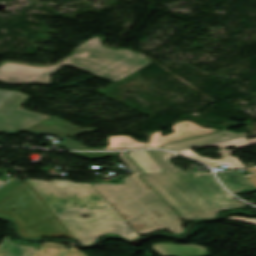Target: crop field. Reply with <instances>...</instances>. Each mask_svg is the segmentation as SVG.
<instances>
[{"instance_id": "8a807250", "label": "crop field", "mask_w": 256, "mask_h": 256, "mask_svg": "<svg viewBox=\"0 0 256 256\" xmlns=\"http://www.w3.org/2000/svg\"><path fill=\"white\" fill-rule=\"evenodd\" d=\"M6 195L0 213L12 216L22 237L66 236L82 246L107 233H119L128 241L139 237L90 184L28 179Z\"/></svg>"}, {"instance_id": "ac0d7876", "label": "crop field", "mask_w": 256, "mask_h": 256, "mask_svg": "<svg viewBox=\"0 0 256 256\" xmlns=\"http://www.w3.org/2000/svg\"><path fill=\"white\" fill-rule=\"evenodd\" d=\"M165 172L141 178L183 219L213 218L219 210L246 206L218 184L212 173L184 172L173 166L167 151H147Z\"/></svg>"}, {"instance_id": "34b2d1b8", "label": "crop field", "mask_w": 256, "mask_h": 256, "mask_svg": "<svg viewBox=\"0 0 256 256\" xmlns=\"http://www.w3.org/2000/svg\"><path fill=\"white\" fill-rule=\"evenodd\" d=\"M121 157L136 173L124 178L125 184L92 186L139 234L167 228L181 235V219L137 176L143 172L124 154Z\"/></svg>"}, {"instance_id": "412701ff", "label": "crop field", "mask_w": 256, "mask_h": 256, "mask_svg": "<svg viewBox=\"0 0 256 256\" xmlns=\"http://www.w3.org/2000/svg\"><path fill=\"white\" fill-rule=\"evenodd\" d=\"M92 39V38H91ZM150 63L129 50H110L98 37L84 43L77 53L57 66L44 68L5 62L0 66V81L5 83H50L48 76L64 64L81 67L114 82Z\"/></svg>"}, {"instance_id": "f4fd0767", "label": "crop field", "mask_w": 256, "mask_h": 256, "mask_svg": "<svg viewBox=\"0 0 256 256\" xmlns=\"http://www.w3.org/2000/svg\"><path fill=\"white\" fill-rule=\"evenodd\" d=\"M29 99L18 92L0 107V133L24 131L50 117L21 109L20 106Z\"/></svg>"}, {"instance_id": "dd49c442", "label": "crop field", "mask_w": 256, "mask_h": 256, "mask_svg": "<svg viewBox=\"0 0 256 256\" xmlns=\"http://www.w3.org/2000/svg\"><path fill=\"white\" fill-rule=\"evenodd\" d=\"M43 246L45 250L41 252ZM64 245L43 243L40 251L35 248L20 246L12 243L5 237L0 243V256H85L83 252L76 248H70L69 251L64 250Z\"/></svg>"}, {"instance_id": "e52e79f7", "label": "crop field", "mask_w": 256, "mask_h": 256, "mask_svg": "<svg viewBox=\"0 0 256 256\" xmlns=\"http://www.w3.org/2000/svg\"><path fill=\"white\" fill-rule=\"evenodd\" d=\"M172 130L174 132L166 136H161L162 131L154 132L149 143H147L148 147L161 148V146L166 143L190 139L219 131L216 129L200 127L191 121L177 123L172 126Z\"/></svg>"}, {"instance_id": "d8731c3e", "label": "crop field", "mask_w": 256, "mask_h": 256, "mask_svg": "<svg viewBox=\"0 0 256 256\" xmlns=\"http://www.w3.org/2000/svg\"><path fill=\"white\" fill-rule=\"evenodd\" d=\"M95 128H80L53 116L25 132L31 134H52L59 137L77 136L82 132H93Z\"/></svg>"}, {"instance_id": "5a996713", "label": "crop field", "mask_w": 256, "mask_h": 256, "mask_svg": "<svg viewBox=\"0 0 256 256\" xmlns=\"http://www.w3.org/2000/svg\"><path fill=\"white\" fill-rule=\"evenodd\" d=\"M231 145H234L236 147H241V146L250 145V143L246 140V138H243V139H239V140H235V141H229V142H224V143H220V144L206 146V147L218 146L220 149H222L221 151H218V153L223 156V159H217V160H212L210 158H203V157L199 156L198 154H196L195 152H193L191 149L179 151L178 153L185 154L191 158H194L200 162L207 164L210 167L221 165V164H226L227 167H229V169L244 168L245 166L243 164H241L237 158L229 156L232 152H234V150H229V149L223 150V148L231 146Z\"/></svg>"}, {"instance_id": "3316defc", "label": "crop field", "mask_w": 256, "mask_h": 256, "mask_svg": "<svg viewBox=\"0 0 256 256\" xmlns=\"http://www.w3.org/2000/svg\"><path fill=\"white\" fill-rule=\"evenodd\" d=\"M243 136H247V134L231 133V132L223 131V132H218V133H214V134H210V135H206V136H202V137H198L190 140L166 144V145H163L162 148H165L171 151H176V150L206 145L210 143L220 142V141L234 139V138L243 137Z\"/></svg>"}, {"instance_id": "28ad6ade", "label": "crop field", "mask_w": 256, "mask_h": 256, "mask_svg": "<svg viewBox=\"0 0 256 256\" xmlns=\"http://www.w3.org/2000/svg\"><path fill=\"white\" fill-rule=\"evenodd\" d=\"M153 247L162 255V256H208L209 252L199 246L186 245V246H177L171 244H157Z\"/></svg>"}, {"instance_id": "d1516ede", "label": "crop field", "mask_w": 256, "mask_h": 256, "mask_svg": "<svg viewBox=\"0 0 256 256\" xmlns=\"http://www.w3.org/2000/svg\"><path fill=\"white\" fill-rule=\"evenodd\" d=\"M217 176L224 185L234 194L240 193L243 188L255 189L256 187L239 171L218 173Z\"/></svg>"}, {"instance_id": "22f410ed", "label": "crop field", "mask_w": 256, "mask_h": 256, "mask_svg": "<svg viewBox=\"0 0 256 256\" xmlns=\"http://www.w3.org/2000/svg\"><path fill=\"white\" fill-rule=\"evenodd\" d=\"M128 155L146 174L163 171L146 151L128 152Z\"/></svg>"}, {"instance_id": "cbeb9de0", "label": "crop field", "mask_w": 256, "mask_h": 256, "mask_svg": "<svg viewBox=\"0 0 256 256\" xmlns=\"http://www.w3.org/2000/svg\"><path fill=\"white\" fill-rule=\"evenodd\" d=\"M107 140L106 150L146 148L145 143L138 142L130 136H110Z\"/></svg>"}, {"instance_id": "5142ce71", "label": "crop field", "mask_w": 256, "mask_h": 256, "mask_svg": "<svg viewBox=\"0 0 256 256\" xmlns=\"http://www.w3.org/2000/svg\"><path fill=\"white\" fill-rule=\"evenodd\" d=\"M61 144H63L70 150H105V148H86L75 140H63Z\"/></svg>"}, {"instance_id": "d9b57169", "label": "crop field", "mask_w": 256, "mask_h": 256, "mask_svg": "<svg viewBox=\"0 0 256 256\" xmlns=\"http://www.w3.org/2000/svg\"><path fill=\"white\" fill-rule=\"evenodd\" d=\"M69 153L77 155V156L89 158V159H95V158H103V157H109V156L118 155L121 152H117V153H80V152H69Z\"/></svg>"}, {"instance_id": "733c2abd", "label": "crop field", "mask_w": 256, "mask_h": 256, "mask_svg": "<svg viewBox=\"0 0 256 256\" xmlns=\"http://www.w3.org/2000/svg\"><path fill=\"white\" fill-rule=\"evenodd\" d=\"M19 183L16 182H8L4 186L0 188V200L5 198V194L8 193L10 190H12L14 187H16Z\"/></svg>"}, {"instance_id": "4a817a6b", "label": "crop field", "mask_w": 256, "mask_h": 256, "mask_svg": "<svg viewBox=\"0 0 256 256\" xmlns=\"http://www.w3.org/2000/svg\"><path fill=\"white\" fill-rule=\"evenodd\" d=\"M15 93L17 92L0 90V106L4 102H6L10 97H12Z\"/></svg>"}, {"instance_id": "bc2a9ffb", "label": "crop field", "mask_w": 256, "mask_h": 256, "mask_svg": "<svg viewBox=\"0 0 256 256\" xmlns=\"http://www.w3.org/2000/svg\"><path fill=\"white\" fill-rule=\"evenodd\" d=\"M228 219H233V220H237V221H244V222L256 224V219H247V218H241V217H232V218H228Z\"/></svg>"}, {"instance_id": "214f88e0", "label": "crop field", "mask_w": 256, "mask_h": 256, "mask_svg": "<svg viewBox=\"0 0 256 256\" xmlns=\"http://www.w3.org/2000/svg\"><path fill=\"white\" fill-rule=\"evenodd\" d=\"M4 182L0 181V185H2Z\"/></svg>"}]
</instances>
